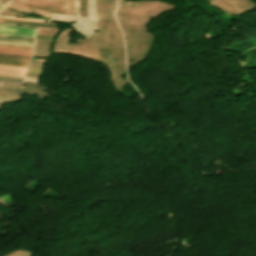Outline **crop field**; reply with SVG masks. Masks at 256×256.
<instances>
[{"instance_id": "34b2d1b8", "label": "crop field", "mask_w": 256, "mask_h": 256, "mask_svg": "<svg viewBox=\"0 0 256 256\" xmlns=\"http://www.w3.org/2000/svg\"><path fill=\"white\" fill-rule=\"evenodd\" d=\"M0 41L33 44L34 38L0 34Z\"/></svg>"}, {"instance_id": "5a996713", "label": "crop field", "mask_w": 256, "mask_h": 256, "mask_svg": "<svg viewBox=\"0 0 256 256\" xmlns=\"http://www.w3.org/2000/svg\"><path fill=\"white\" fill-rule=\"evenodd\" d=\"M0 79L17 80V81H21L22 80V79H18V78H8V77H0Z\"/></svg>"}, {"instance_id": "f4fd0767", "label": "crop field", "mask_w": 256, "mask_h": 256, "mask_svg": "<svg viewBox=\"0 0 256 256\" xmlns=\"http://www.w3.org/2000/svg\"><path fill=\"white\" fill-rule=\"evenodd\" d=\"M0 53L31 56L32 51L0 48Z\"/></svg>"}, {"instance_id": "e52e79f7", "label": "crop field", "mask_w": 256, "mask_h": 256, "mask_svg": "<svg viewBox=\"0 0 256 256\" xmlns=\"http://www.w3.org/2000/svg\"><path fill=\"white\" fill-rule=\"evenodd\" d=\"M0 58L29 61L30 57L0 54Z\"/></svg>"}, {"instance_id": "412701ff", "label": "crop field", "mask_w": 256, "mask_h": 256, "mask_svg": "<svg viewBox=\"0 0 256 256\" xmlns=\"http://www.w3.org/2000/svg\"><path fill=\"white\" fill-rule=\"evenodd\" d=\"M27 68L0 65V74L23 76Z\"/></svg>"}, {"instance_id": "dd49c442", "label": "crop field", "mask_w": 256, "mask_h": 256, "mask_svg": "<svg viewBox=\"0 0 256 256\" xmlns=\"http://www.w3.org/2000/svg\"><path fill=\"white\" fill-rule=\"evenodd\" d=\"M29 62L0 59V64L27 67Z\"/></svg>"}, {"instance_id": "ac0d7876", "label": "crop field", "mask_w": 256, "mask_h": 256, "mask_svg": "<svg viewBox=\"0 0 256 256\" xmlns=\"http://www.w3.org/2000/svg\"><path fill=\"white\" fill-rule=\"evenodd\" d=\"M0 33L35 37L36 29L0 26Z\"/></svg>"}, {"instance_id": "3316defc", "label": "crop field", "mask_w": 256, "mask_h": 256, "mask_svg": "<svg viewBox=\"0 0 256 256\" xmlns=\"http://www.w3.org/2000/svg\"><path fill=\"white\" fill-rule=\"evenodd\" d=\"M9 0H0V9L8 2Z\"/></svg>"}, {"instance_id": "d8731c3e", "label": "crop field", "mask_w": 256, "mask_h": 256, "mask_svg": "<svg viewBox=\"0 0 256 256\" xmlns=\"http://www.w3.org/2000/svg\"><path fill=\"white\" fill-rule=\"evenodd\" d=\"M0 47L27 49V50H32V48H33V47H29V46H20V45H11V44H2V43H0Z\"/></svg>"}, {"instance_id": "8a807250", "label": "crop field", "mask_w": 256, "mask_h": 256, "mask_svg": "<svg viewBox=\"0 0 256 256\" xmlns=\"http://www.w3.org/2000/svg\"><path fill=\"white\" fill-rule=\"evenodd\" d=\"M26 5L38 7L55 13L71 15L70 2L72 6V15H75L74 0H16Z\"/></svg>"}]
</instances>
